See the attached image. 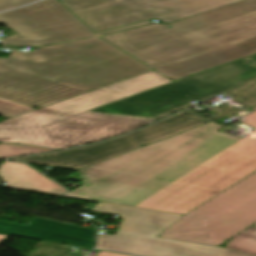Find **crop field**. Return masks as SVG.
Segmentation results:
<instances>
[{"mask_svg":"<svg viewBox=\"0 0 256 256\" xmlns=\"http://www.w3.org/2000/svg\"><path fill=\"white\" fill-rule=\"evenodd\" d=\"M256 126V111L244 117ZM208 125L78 170L64 196L187 214L256 171V132L244 139Z\"/></svg>","mask_w":256,"mask_h":256,"instance_id":"obj_1","label":"crop field"},{"mask_svg":"<svg viewBox=\"0 0 256 256\" xmlns=\"http://www.w3.org/2000/svg\"><path fill=\"white\" fill-rule=\"evenodd\" d=\"M256 77V55L48 125L0 129V142L65 149L112 138Z\"/></svg>","mask_w":256,"mask_h":256,"instance_id":"obj_2","label":"crop field"},{"mask_svg":"<svg viewBox=\"0 0 256 256\" xmlns=\"http://www.w3.org/2000/svg\"><path fill=\"white\" fill-rule=\"evenodd\" d=\"M102 38L176 80L256 53V0Z\"/></svg>","mask_w":256,"mask_h":256,"instance_id":"obj_3","label":"crop field"},{"mask_svg":"<svg viewBox=\"0 0 256 256\" xmlns=\"http://www.w3.org/2000/svg\"><path fill=\"white\" fill-rule=\"evenodd\" d=\"M102 38L0 58V97L36 109L151 70Z\"/></svg>","mask_w":256,"mask_h":256,"instance_id":"obj_4","label":"crop field"},{"mask_svg":"<svg viewBox=\"0 0 256 256\" xmlns=\"http://www.w3.org/2000/svg\"><path fill=\"white\" fill-rule=\"evenodd\" d=\"M256 222V172L184 215L160 238L219 246Z\"/></svg>","mask_w":256,"mask_h":256,"instance_id":"obj_5","label":"crop field"},{"mask_svg":"<svg viewBox=\"0 0 256 256\" xmlns=\"http://www.w3.org/2000/svg\"><path fill=\"white\" fill-rule=\"evenodd\" d=\"M239 0H64L95 33L147 20L173 23Z\"/></svg>","mask_w":256,"mask_h":256,"instance_id":"obj_6","label":"crop field"},{"mask_svg":"<svg viewBox=\"0 0 256 256\" xmlns=\"http://www.w3.org/2000/svg\"><path fill=\"white\" fill-rule=\"evenodd\" d=\"M210 122L186 110L125 137L91 146L10 160L78 170L141 147L142 144L149 145Z\"/></svg>","mask_w":256,"mask_h":256,"instance_id":"obj_7","label":"crop field"},{"mask_svg":"<svg viewBox=\"0 0 256 256\" xmlns=\"http://www.w3.org/2000/svg\"><path fill=\"white\" fill-rule=\"evenodd\" d=\"M4 23L25 37H7V45L39 47L98 36L58 0H45L0 14ZM18 35V36H19Z\"/></svg>","mask_w":256,"mask_h":256,"instance_id":"obj_8","label":"crop field"},{"mask_svg":"<svg viewBox=\"0 0 256 256\" xmlns=\"http://www.w3.org/2000/svg\"><path fill=\"white\" fill-rule=\"evenodd\" d=\"M171 82L152 71L111 86L0 122V128L48 124Z\"/></svg>","mask_w":256,"mask_h":256,"instance_id":"obj_9","label":"crop field"},{"mask_svg":"<svg viewBox=\"0 0 256 256\" xmlns=\"http://www.w3.org/2000/svg\"><path fill=\"white\" fill-rule=\"evenodd\" d=\"M97 248L144 256H220L223 250L119 232L101 235Z\"/></svg>","mask_w":256,"mask_h":256,"instance_id":"obj_10","label":"crop field"},{"mask_svg":"<svg viewBox=\"0 0 256 256\" xmlns=\"http://www.w3.org/2000/svg\"><path fill=\"white\" fill-rule=\"evenodd\" d=\"M92 211L113 214L121 217L123 222L120 223V231L149 236H157L160 232L183 216L180 214L132 208L102 202H99Z\"/></svg>","mask_w":256,"mask_h":256,"instance_id":"obj_11","label":"crop field"},{"mask_svg":"<svg viewBox=\"0 0 256 256\" xmlns=\"http://www.w3.org/2000/svg\"><path fill=\"white\" fill-rule=\"evenodd\" d=\"M0 178L8 183L7 187L38 190L55 195L67 191L22 163L3 161L0 167Z\"/></svg>","mask_w":256,"mask_h":256,"instance_id":"obj_12","label":"crop field"},{"mask_svg":"<svg viewBox=\"0 0 256 256\" xmlns=\"http://www.w3.org/2000/svg\"><path fill=\"white\" fill-rule=\"evenodd\" d=\"M226 247L251 256H256V223L230 239Z\"/></svg>","mask_w":256,"mask_h":256,"instance_id":"obj_13","label":"crop field"},{"mask_svg":"<svg viewBox=\"0 0 256 256\" xmlns=\"http://www.w3.org/2000/svg\"><path fill=\"white\" fill-rule=\"evenodd\" d=\"M235 101L244 105L243 108L249 109L256 105V80L245 85L232 89L224 93Z\"/></svg>","mask_w":256,"mask_h":256,"instance_id":"obj_14","label":"crop field"},{"mask_svg":"<svg viewBox=\"0 0 256 256\" xmlns=\"http://www.w3.org/2000/svg\"><path fill=\"white\" fill-rule=\"evenodd\" d=\"M46 151H54V149H43L34 146H20L11 144H0V159L7 157H14L20 155H27L33 153H40Z\"/></svg>","mask_w":256,"mask_h":256,"instance_id":"obj_15","label":"crop field"},{"mask_svg":"<svg viewBox=\"0 0 256 256\" xmlns=\"http://www.w3.org/2000/svg\"><path fill=\"white\" fill-rule=\"evenodd\" d=\"M10 101L0 98V115L11 118L22 113L34 110L30 107L23 106Z\"/></svg>","mask_w":256,"mask_h":256,"instance_id":"obj_16","label":"crop field"},{"mask_svg":"<svg viewBox=\"0 0 256 256\" xmlns=\"http://www.w3.org/2000/svg\"><path fill=\"white\" fill-rule=\"evenodd\" d=\"M211 111H213V112H215V113H217V114H219L223 117H226V116L233 115V114H235L237 112H240V111H243V110H240L238 108H235V107H232L230 105L225 104V105H223L219 108H216L214 110H211Z\"/></svg>","mask_w":256,"mask_h":256,"instance_id":"obj_17","label":"crop field"},{"mask_svg":"<svg viewBox=\"0 0 256 256\" xmlns=\"http://www.w3.org/2000/svg\"><path fill=\"white\" fill-rule=\"evenodd\" d=\"M32 1H35V0H0V11L17 7L19 5L32 2Z\"/></svg>","mask_w":256,"mask_h":256,"instance_id":"obj_18","label":"crop field"},{"mask_svg":"<svg viewBox=\"0 0 256 256\" xmlns=\"http://www.w3.org/2000/svg\"><path fill=\"white\" fill-rule=\"evenodd\" d=\"M147 23H151V21H150V20H147V21H143V22H139V23L131 24V25H128V26H124V27L116 28V29H113V30H109V31H105V32L97 33V34H98V35H101V34H105V33L113 32V31H118V30H122V29L130 28V27H134V26H139V25H143V24H147Z\"/></svg>","mask_w":256,"mask_h":256,"instance_id":"obj_19","label":"crop field"},{"mask_svg":"<svg viewBox=\"0 0 256 256\" xmlns=\"http://www.w3.org/2000/svg\"><path fill=\"white\" fill-rule=\"evenodd\" d=\"M223 256H248V255L226 249Z\"/></svg>","mask_w":256,"mask_h":256,"instance_id":"obj_20","label":"crop field"},{"mask_svg":"<svg viewBox=\"0 0 256 256\" xmlns=\"http://www.w3.org/2000/svg\"><path fill=\"white\" fill-rule=\"evenodd\" d=\"M97 256H128V255H122V254L100 251Z\"/></svg>","mask_w":256,"mask_h":256,"instance_id":"obj_21","label":"crop field"},{"mask_svg":"<svg viewBox=\"0 0 256 256\" xmlns=\"http://www.w3.org/2000/svg\"><path fill=\"white\" fill-rule=\"evenodd\" d=\"M9 236H6V235H0V244L6 239L8 238Z\"/></svg>","mask_w":256,"mask_h":256,"instance_id":"obj_22","label":"crop field"},{"mask_svg":"<svg viewBox=\"0 0 256 256\" xmlns=\"http://www.w3.org/2000/svg\"><path fill=\"white\" fill-rule=\"evenodd\" d=\"M246 113H248V112L243 111V112L238 113L237 115H238V117H240V116H242V115H244V114H246Z\"/></svg>","mask_w":256,"mask_h":256,"instance_id":"obj_23","label":"crop field"},{"mask_svg":"<svg viewBox=\"0 0 256 256\" xmlns=\"http://www.w3.org/2000/svg\"><path fill=\"white\" fill-rule=\"evenodd\" d=\"M256 107H254V108H252V109H250V110H248V111H252L253 109H255Z\"/></svg>","mask_w":256,"mask_h":256,"instance_id":"obj_24","label":"crop field"},{"mask_svg":"<svg viewBox=\"0 0 256 256\" xmlns=\"http://www.w3.org/2000/svg\"><path fill=\"white\" fill-rule=\"evenodd\" d=\"M219 248H221V247H219ZM223 249H224V251H225V248H223ZM224 251H223V253H224ZM223 253H222V255H223ZM222 255H221V256H222Z\"/></svg>","mask_w":256,"mask_h":256,"instance_id":"obj_25","label":"crop field"}]
</instances>
